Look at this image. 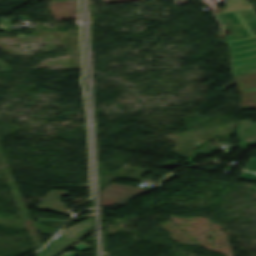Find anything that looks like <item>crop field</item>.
<instances>
[{
  "label": "crop field",
  "mask_w": 256,
  "mask_h": 256,
  "mask_svg": "<svg viewBox=\"0 0 256 256\" xmlns=\"http://www.w3.org/2000/svg\"><path fill=\"white\" fill-rule=\"evenodd\" d=\"M73 248L79 250L78 252L82 251L83 249H90L91 247L87 246L86 244L80 242L78 245L74 246ZM77 252V253H78ZM76 253H73L71 251L61 254V256H74Z\"/></svg>",
  "instance_id": "obj_10"
},
{
  "label": "crop field",
  "mask_w": 256,
  "mask_h": 256,
  "mask_svg": "<svg viewBox=\"0 0 256 256\" xmlns=\"http://www.w3.org/2000/svg\"><path fill=\"white\" fill-rule=\"evenodd\" d=\"M245 169L256 172V158L252 157L245 166Z\"/></svg>",
  "instance_id": "obj_12"
},
{
  "label": "crop field",
  "mask_w": 256,
  "mask_h": 256,
  "mask_svg": "<svg viewBox=\"0 0 256 256\" xmlns=\"http://www.w3.org/2000/svg\"><path fill=\"white\" fill-rule=\"evenodd\" d=\"M69 192L50 190L38 205V209L61 214H68L64 203L59 198L61 195H68Z\"/></svg>",
  "instance_id": "obj_6"
},
{
  "label": "crop field",
  "mask_w": 256,
  "mask_h": 256,
  "mask_svg": "<svg viewBox=\"0 0 256 256\" xmlns=\"http://www.w3.org/2000/svg\"><path fill=\"white\" fill-rule=\"evenodd\" d=\"M234 75H256V49L232 55Z\"/></svg>",
  "instance_id": "obj_5"
},
{
  "label": "crop field",
  "mask_w": 256,
  "mask_h": 256,
  "mask_svg": "<svg viewBox=\"0 0 256 256\" xmlns=\"http://www.w3.org/2000/svg\"><path fill=\"white\" fill-rule=\"evenodd\" d=\"M38 219L37 221H43V222H57V223H64L67 220H60V219H42V218H35Z\"/></svg>",
  "instance_id": "obj_13"
},
{
  "label": "crop field",
  "mask_w": 256,
  "mask_h": 256,
  "mask_svg": "<svg viewBox=\"0 0 256 256\" xmlns=\"http://www.w3.org/2000/svg\"><path fill=\"white\" fill-rule=\"evenodd\" d=\"M145 190L147 189L111 183L100 190V203L102 206L113 205Z\"/></svg>",
  "instance_id": "obj_3"
},
{
  "label": "crop field",
  "mask_w": 256,
  "mask_h": 256,
  "mask_svg": "<svg viewBox=\"0 0 256 256\" xmlns=\"http://www.w3.org/2000/svg\"><path fill=\"white\" fill-rule=\"evenodd\" d=\"M54 19H78L76 1L48 3Z\"/></svg>",
  "instance_id": "obj_7"
},
{
  "label": "crop field",
  "mask_w": 256,
  "mask_h": 256,
  "mask_svg": "<svg viewBox=\"0 0 256 256\" xmlns=\"http://www.w3.org/2000/svg\"><path fill=\"white\" fill-rule=\"evenodd\" d=\"M236 135L240 139L239 145L242 149L256 143V122L239 121Z\"/></svg>",
  "instance_id": "obj_8"
},
{
  "label": "crop field",
  "mask_w": 256,
  "mask_h": 256,
  "mask_svg": "<svg viewBox=\"0 0 256 256\" xmlns=\"http://www.w3.org/2000/svg\"><path fill=\"white\" fill-rule=\"evenodd\" d=\"M93 226V217L84 220L61 231L42 251L36 256H54L63 247L74 243L83 233Z\"/></svg>",
  "instance_id": "obj_2"
},
{
  "label": "crop field",
  "mask_w": 256,
  "mask_h": 256,
  "mask_svg": "<svg viewBox=\"0 0 256 256\" xmlns=\"http://www.w3.org/2000/svg\"><path fill=\"white\" fill-rule=\"evenodd\" d=\"M217 146L209 145L205 143L200 149H196L194 155H190L189 158L185 161V163L192 164V162L196 159L198 154L211 155V153L216 149Z\"/></svg>",
  "instance_id": "obj_9"
},
{
  "label": "crop field",
  "mask_w": 256,
  "mask_h": 256,
  "mask_svg": "<svg viewBox=\"0 0 256 256\" xmlns=\"http://www.w3.org/2000/svg\"><path fill=\"white\" fill-rule=\"evenodd\" d=\"M235 80L223 90L237 82L238 89L243 95L241 108L256 109V76H234Z\"/></svg>",
  "instance_id": "obj_4"
},
{
  "label": "crop field",
  "mask_w": 256,
  "mask_h": 256,
  "mask_svg": "<svg viewBox=\"0 0 256 256\" xmlns=\"http://www.w3.org/2000/svg\"><path fill=\"white\" fill-rule=\"evenodd\" d=\"M238 179L256 181V174L241 171Z\"/></svg>",
  "instance_id": "obj_11"
},
{
  "label": "crop field",
  "mask_w": 256,
  "mask_h": 256,
  "mask_svg": "<svg viewBox=\"0 0 256 256\" xmlns=\"http://www.w3.org/2000/svg\"><path fill=\"white\" fill-rule=\"evenodd\" d=\"M237 11L218 14L225 32L228 49L237 53L256 48V13L246 0H229Z\"/></svg>",
  "instance_id": "obj_1"
},
{
  "label": "crop field",
  "mask_w": 256,
  "mask_h": 256,
  "mask_svg": "<svg viewBox=\"0 0 256 256\" xmlns=\"http://www.w3.org/2000/svg\"><path fill=\"white\" fill-rule=\"evenodd\" d=\"M117 1H121V0H109V2H117Z\"/></svg>",
  "instance_id": "obj_14"
}]
</instances>
